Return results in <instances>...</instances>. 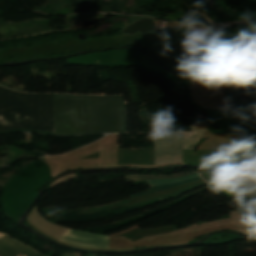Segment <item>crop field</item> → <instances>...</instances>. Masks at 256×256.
<instances>
[{
  "instance_id": "crop-field-1",
  "label": "crop field",
  "mask_w": 256,
  "mask_h": 256,
  "mask_svg": "<svg viewBox=\"0 0 256 256\" xmlns=\"http://www.w3.org/2000/svg\"><path fill=\"white\" fill-rule=\"evenodd\" d=\"M55 134L125 132L121 96L54 94Z\"/></svg>"
},
{
  "instance_id": "crop-field-2",
  "label": "crop field",
  "mask_w": 256,
  "mask_h": 256,
  "mask_svg": "<svg viewBox=\"0 0 256 256\" xmlns=\"http://www.w3.org/2000/svg\"><path fill=\"white\" fill-rule=\"evenodd\" d=\"M53 94H27L0 87V131L54 132Z\"/></svg>"
},
{
  "instance_id": "crop-field-3",
  "label": "crop field",
  "mask_w": 256,
  "mask_h": 256,
  "mask_svg": "<svg viewBox=\"0 0 256 256\" xmlns=\"http://www.w3.org/2000/svg\"><path fill=\"white\" fill-rule=\"evenodd\" d=\"M60 240L85 247L108 248V236L67 229Z\"/></svg>"
},
{
  "instance_id": "crop-field-4",
  "label": "crop field",
  "mask_w": 256,
  "mask_h": 256,
  "mask_svg": "<svg viewBox=\"0 0 256 256\" xmlns=\"http://www.w3.org/2000/svg\"><path fill=\"white\" fill-rule=\"evenodd\" d=\"M0 251L8 256H19L22 253L26 256H42L9 237L0 238Z\"/></svg>"
},
{
  "instance_id": "crop-field-5",
  "label": "crop field",
  "mask_w": 256,
  "mask_h": 256,
  "mask_svg": "<svg viewBox=\"0 0 256 256\" xmlns=\"http://www.w3.org/2000/svg\"><path fill=\"white\" fill-rule=\"evenodd\" d=\"M197 180H201V178L198 177V178H194V179H190V180H186V181H182V182H178V183H172V184H167V185L151 187L147 190L148 192L134 194V195H131L130 198L140 196V195L150 194V193H154V192H158V191H162V190H166V189H170V188L177 187V186H180V185H183V184H186L189 182L197 181Z\"/></svg>"
},
{
  "instance_id": "crop-field-6",
  "label": "crop field",
  "mask_w": 256,
  "mask_h": 256,
  "mask_svg": "<svg viewBox=\"0 0 256 256\" xmlns=\"http://www.w3.org/2000/svg\"><path fill=\"white\" fill-rule=\"evenodd\" d=\"M227 180H229L231 183H233L234 185H236L237 187H239L240 189L244 190L247 193H252L253 189H255L256 187L246 183L244 180H242L241 178L235 176V175H224L222 174Z\"/></svg>"
},
{
  "instance_id": "crop-field-7",
  "label": "crop field",
  "mask_w": 256,
  "mask_h": 256,
  "mask_svg": "<svg viewBox=\"0 0 256 256\" xmlns=\"http://www.w3.org/2000/svg\"><path fill=\"white\" fill-rule=\"evenodd\" d=\"M198 176L199 175L197 173V174H192V175H188V176H184V177H180V178H174V179L148 180V183L150 184V186H156V185H161V184L178 182V181H182V180H186V179H190V178H194V177H198Z\"/></svg>"
},
{
  "instance_id": "crop-field-8",
  "label": "crop field",
  "mask_w": 256,
  "mask_h": 256,
  "mask_svg": "<svg viewBox=\"0 0 256 256\" xmlns=\"http://www.w3.org/2000/svg\"><path fill=\"white\" fill-rule=\"evenodd\" d=\"M191 173H184V174H178V175H172V176H132L126 178V183L130 181H138V180H146V179H159V178H174L179 176L188 175Z\"/></svg>"
},
{
  "instance_id": "crop-field-9",
  "label": "crop field",
  "mask_w": 256,
  "mask_h": 256,
  "mask_svg": "<svg viewBox=\"0 0 256 256\" xmlns=\"http://www.w3.org/2000/svg\"><path fill=\"white\" fill-rule=\"evenodd\" d=\"M256 48V42L246 41L243 49L238 54L239 57H249L253 50Z\"/></svg>"
},
{
  "instance_id": "crop-field-10",
  "label": "crop field",
  "mask_w": 256,
  "mask_h": 256,
  "mask_svg": "<svg viewBox=\"0 0 256 256\" xmlns=\"http://www.w3.org/2000/svg\"><path fill=\"white\" fill-rule=\"evenodd\" d=\"M251 159L256 161V154L253 153ZM237 166H239L249 172L256 171V163H254V164H239Z\"/></svg>"
},
{
  "instance_id": "crop-field-11",
  "label": "crop field",
  "mask_w": 256,
  "mask_h": 256,
  "mask_svg": "<svg viewBox=\"0 0 256 256\" xmlns=\"http://www.w3.org/2000/svg\"><path fill=\"white\" fill-rule=\"evenodd\" d=\"M200 175L205 180V182L208 183V185L211 186V188H214V186L207 181L206 177L202 173H200Z\"/></svg>"
},
{
  "instance_id": "crop-field-12",
  "label": "crop field",
  "mask_w": 256,
  "mask_h": 256,
  "mask_svg": "<svg viewBox=\"0 0 256 256\" xmlns=\"http://www.w3.org/2000/svg\"><path fill=\"white\" fill-rule=\"evenodd\" d=\"M251 57H255V58H256V49H255V51L253 52V54L251 55Z\"/></svg>"
},
{
  "instance_id": "crop-field-13",
  "label": "crop field",
  "mask_w": 256,
  "mask_h": 256,
  "mask_svg": "<svg viewBox=\"0 0 256 256\" xmlns=\"http://www.w3.org/2000/svg\"><path fill=\"white\" fill-rule=\"evenodd\" d=\"M252 174L256 176V173H252Z\"/></svg>"
}]
</instances>
